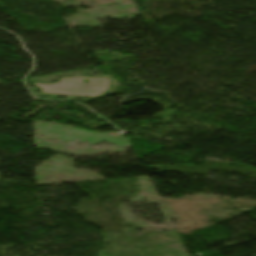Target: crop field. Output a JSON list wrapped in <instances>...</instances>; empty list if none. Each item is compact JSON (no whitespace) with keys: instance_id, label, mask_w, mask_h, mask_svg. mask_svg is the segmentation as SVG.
I'll return each mask as SVG.
<instances>
[{"instance_id":"obj_1","label":"crop field","mask_w":256,"mask_h":256,"mask_svg":"<svg viewBox=\"0 0 256 256\" xmlns=\"http://www.w3.org/2000/svg\"><path fill=\"white\" fill-rule=\"evenodd\" d=\"M35 87L41 88V93L77 95L88 97H101L109 89L110 79L104 78H62L57 84H37Z\"/></svg>"}]
</instances>
